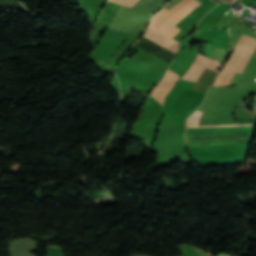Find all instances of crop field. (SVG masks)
<instances>
[{
	"mask_svg": "<svg viewBox=\"0 0 256 256\" xmlns=\"http://www.w3.org/2000/svg\"><path fill=\"white\" fill-rule=\"evenodd\" d=\"M252 40H253V37L247 36V38L244 41L243 45L241 46L240 50L238 51L237 48L234 49V52L232 53V55L229 58L228 62L224 65L222 70L219 72V75L216 78L213 86L214 85H218L219 81L221 80V78L224 75L225 71L227 70L229 64L231 63L232 59L234 58L235 54L238 51V53L235 56L234 60L232 61L231 65L229 66L228 70L226 71L225 75L223 76L222 80L220 81L219 85H225L227 83V81L229 80L230 76L232 75V73L236 69L237 65L239 64L240 60L242 59L243 55L245 54L246 50L248 49L249 45L251 44ZM255 48H256V39L253 40L252 44L250 45L249 49L247 50L246 54L244 55L243 59L241 60V62L238 65L237 69L235 70V72L241 73L242 69L244 68L245 64L247 63L248 59L252 55V53L255 50ZM234 73H233V75H234ZM233 75H232V77H233ZM231 78H230V80H231ZM229 81H228V83H229ZM228 83H227V85H228Z\"/></svg>",
	"mask_w": 256,
	"mask_h": 256,
	"instance_id": "obj_2",
	"label": "crop field"
},
{
	"mask_svg": "<svg viewBox=\"0 0 256 256\" xmlns=\"http://www.w3.org/2000/svg\"><path fill=\"white\" fill-rule=\"evenodd\" d=\"M221 61L209 59L198 53L194 63L191 65L189 71L185 73L181 79L194 81L198 79L204 67L217 71L221 65ZM205 69V68H204Z\"/></svg>",
	"mask_w": 256,
	"mask_h": 256,
	"instance_id": "obj_3",
	"label": "crop field"
},
{
	"mask_svg": "<svg viewBox=\"0 0 256 256\" xmlns=\"http://www.w3.org/2000/svg\"><path fill=\"white\" fill-rule=\"evenodd\" d=\"M203 112H193L186 120V128H199V127H221V126H243V125H255V124H237V125H207L198 126L200 118Z\"/></svg>",
	"mask_w": 256,
	"mask_h": 256,
	"instance_id": "obj_5",
	"label": "crop field"
},
{
	"mask_svg": "<svg viewBox=\"0 0 256 256\" xmlns=\"http://www.w3.org/2000/svg\"><path fill=\"white\" fill-rule=\"evenodd\" d=\"M194 1L202 3L199 0ZM194 1L184 0L170 11L163 8L158 14L154 15L153 20L178 32L181 29L174 26L176 22L200 5ZM174 34L176 32L151 21L143 37L176 53L178 42L171 38Z\"/></svg>",
	"mask_w": 256,
	"mask_h": 256,
	"instance_id": "obj_1",
	"label": "crop field"
},
{
	"mask_svg": "<svg viewBox=\"0 0 256 256\" xmlns=\"http://www.w3.org/2000/svg\"><path fill=\"white\" fill-rule=\"evenodd\" d=\"M218 256H228V254H219Z\"/></svg>",
	"mask_w": 256,
	"mask_h": 256,
	"instance_id": "obj_7",
	"label": "crop field"
},
{
	"mask_svg": "<svg viewBox=\"0 0 256 256\" xmlns=\"http://www.w3.org/2000/svg\"><path fill=\"white\" fill-rule=\"evenodd\" d=\"M177 79V74L167 70L163 80L152 90L150 95L163 104L165 96Z\"/></svg>",
	"mask_w": 256,
	"mask_h": 256,
	"instance_id": "obj_4",
	"label": "crop field"
},
{
	"mask_svg": "<svg viewBox=\"0 0 256 256\" xmlns=\"http://www.w3.org/2000/svg\"><path fill=\"white\" fill-rule=\"evenodd\" d=\"M109 1H111V0H109ZM117 1L134 5L137 0H117ZM117 1H112V2L119 3V2H117ZM119 4H123V3H119ZM123 5H127V4H123ZM127 6L132 7L131 5H127Z\"/></svg>",
	"mask_w": 256,
	"mask_h": 256,
	"instance_id": "obj_6",
	"label": "crop field"
}]
</instances>
